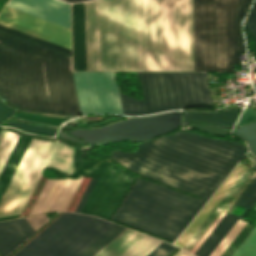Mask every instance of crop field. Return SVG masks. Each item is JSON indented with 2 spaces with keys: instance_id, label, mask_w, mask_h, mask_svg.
I'll return each mask as SVG.
<instances>
[{
  "instance_id": "f4fd0767",
  "label": "crop field",
  "mask_w": 256,
  "mask_h": 256,
  "mask_svg": "<svg viewBox=\"0 0 256 256\" xmlns=\"http://www.w3.org/2000/svg\"><path fill=\"white\" fill-rule=\"evenodd\" d=\"M204 203L138 178L112 219L175 241Z\"/></svg>"
},
{
  "instance_id": "d9b57169",
  "label": "crop field",
  "mask_w": 256,
  "mask_h": 256,
  "mask_svg": "<svg viewBox=\"0 0 256 256\" xmlns=\"http://www.w3.org/2000/svg\"><path fill=\"white\" fill-rule=\"evenodd\" d=\"M7 7L70 29V5L59 0H11Z\"/></svg>"
},
{
  "instance_id": "3316defc",
  "label": "crop field",
  "mask_w": 256,
  "mask_h": 256,
  "mask_svg": "<svg viewBox=\"0 0 256 256\" xmlns=\"http://www.w3.org/2000/svg\"><path fill=\"white\" fill-rule=\"evenodd\" d=\"M134 177L110 162L99 177L82 213L108 220Z\"/></svg>"
},
{
  "instance_id": "d8731c3e",
  "label": "crop field",
  "mask_w": 256,
  "mask_h": 256,
  "mask_svg": "<svg viewBox=\"0 0 256 256\" xmlns=\"http://www.w3.org/2000/svg\"><path fill=\"white\" fill-rule=\"evenodd\" d=\"M114 226L97 217L64 213L14 256H80Z\"/></svg>"
},
{
  "instance_id": "cbeb9de0",
  "label": "crop field",
  "mask_w": 256,
  "mask_h": 256,
  "mask_svg": "<svg viewBox=\"0 0 256 256\" xmlns=\"http://www.w3.org/2000/svg\"><path fill=\"white\" fill-rule=\"evenodd\" d=\"M80 180L81 178L47 179L29 216L49 211H65Z\"/></svg>"
},
{
  "instance_id": "22f410ed",
  "label": "crop field",
  "mask_w": 256,
  "mask_h": 256,
  "mask_svg": "<svg viewBox=\"0 0 256 256\" xmlns=\"http://www.w3.org/2000/svg\"><path fill=\"white\" fill-rule=\"evenodd\" d=\"M0 24L26 32L71 49L70 30L5 7Z\"/></svg>"
},
{
  "instance_id": "bc2a9ffb",
  "label": "crop field",
  "mask_w": 256,
  "mask_h": 256,
  "mask_svg": "<svg viewBox=\"0 0 256 256\" xmlns=\"http://www.w3.org/2000/svg\"><path fill=\"white\" fill-rule=\"evenodd\" d=\"M73 70L86 71L84 2L72 4Z\"/></svg>"
},
{
  "instance_id": "4177f3b9",
  "label": "crop field",
  "mask_w": 256,
  "mask_h": 256,
  "mask_svg": "<svg viewBox=\"0 0 256 256\" xmlns=\"http://www.w3.org/2000/svg\"><path fill=\"white\" fill-rule=\"evenodd\" d=\"M0 30L5 31V32H8V33H11V34H14V35H16V36H19V37H22V38L31 40V41H33V42H36V43L45 45V46H47V47H50V48H53V49H56V50H59V51H62V52H64V53H67V54H70V55H71V50H70V49H67V48H65V47H62V46L53 44V43H51V42H48V41L39 39V38H37V37L28 35V34H26V33H23V32L17 31V30H14V29H12V28H9V27L0 25Z\"/></svg>"
},
{
  "instance_id": "d1516ede",
  "label": "crop field",
  "mask_w": 256,
  "mask_h": 256,
  "mask_svg": "<svg viewBox=\"0 0 256 256\" xmlns=\"http://www.w3.org/2000/svg\"><path fill=\"white\" fill-rule=\"evenodd\" d=\"M175 71H194L192 0H173Z\"/></svg>"
},
{
  "instance_id": "ae1a2a85",
  "label": "crop field",
  "mask_w": 256,
  "mask_h": 256,
  "mask_svg": "<svg viewBox=\"0 0 256 256\" xmlns=\"http://www.w3.org/2000/svg\"><path fill=\"white\" fill-rule=\"evenodd\" d=\"M245 28L250 32V34L256 40V2L246 19Z\"/></svg>"
},
{
  "instance_id": "ac0d7876",
  "label": "crop field",
  "mask_w": 256,
  "mask_h": 256,
  "mask_svg": "<svg viewBox=\"0 0 256 256\" xmlns=\"http://www.w3.org/2000/svg\"><path fill=\"white\" fill-rule=\"evenodd\" d=\"M0 95L27 112L81 114L71 56L2 31Z\"/></svg>"
},
{
  "instance_id": "5142ce71",
  "label": "crop field",
  "mask_w": 256,
  "mask_h": 256,
  "mask_svg": "<svg viewBox=\"0 0 256 256\" xmlns=\"http://www.w3.org/2000/svg\"><path fill=\"white\" fill-rule=\"evenodd\" d=\"M255 202L256 177L241 194V196L237 199L234 205L230 208V210L226 213V215L222 218V220L218 223V225L215 227V229L211 232V234L207 237V239L203 242V244L194 255L209 256L210 253L219 244V242L223 239V237L227 234V232L236 223V221L238 219L242 220ZM236 205H241L246 208L240 217L231 214L232 210L235 208Z\"/></svg>"
},
{
  "instance_id": "5a996713",
  "label": "crop field",
  "mask_w": 256,
  "mask_h": 256,
  "mask_svg": "<svg viewBox=\"0 0 256 256\" xmlns=\"http://www.w3.org/2000/svg\"><path fill=\"white\" fill-rule=\"evenodd\" d=\"M82 113H121L114 72H73Z\"/></svg>"
},
{
  "instance_id": "1d83c4d3",
  "label": "crop field",
  "mask_w": 256,
  "mask_h": 256,
  "mask_svg": "<svg viewBox=\"0 0 256 256\" xmlns=\"http://www.w3.org/2000/svg\"><path fill=\"white\" fill-rule=\"evenodd\" d=\"M64 1H67V2H75V1H81V0H64Z\"/></svg>"
},
{
  "instance_id": "750c4746",
  "label": "crop field",
  "mask_w": 256,
  "mask_h": 256,
  "mask_svg": "<svg viewBox=\"0 0 256 256\" xmlns=\"http://www.w3.org/2000/svg\"><path fill=\"white\" fill-rule=\"evenodd\" d=\"M96 180H97V178H91V180H90V182H89V184H88V186H87V188H86V190H85V192H84V194H83L75 212H77V213L81 212V210H82V208H83V206H84V204H85V202H86V200H87V198H88Z\"/></svg>"
},
{
  "instance_id": "dd49c442",
  "label": "crop field",
  "mask_w": 256,
  "mask_h": 256,
  "mask_svg": "<svg viewBox=\"0 0 256 256\" xmlns=\"http://www.w3.org/2000/svg\"><path fill=\"white\" fill-rule=\"evenodd\" d=\"M100 71H144L142 0H98Z\"/></svg>"
},
{
  "instance_id": "eef30255",
  "label": "crop field",
  "mask_w": 256,
  "mask_h": 256,
  "mask_svg": "<svg viewBox=\"0 0 256 256\" xmlns=\"http://www.w3.org/2000/svg\"><path fill=\"white\" fill-rule=\"evenodd\" d=\"M253 227L254 225L247 223L222 256H231L245 237L249 234V232L253 229Z\"/></svg>"
},
{
  "instance_id": "28ad6ade",
  "label": "crop field",
  "mask_w": 256,
  "mask_h": 256,
  "mask_svg": "<svg viewBox=\"0 0 256 256\" xmlns=\"http://www.w3.org/2000/svg\"><path fill=\"white\" fill-rule=\"evenodd\" d=\"M145 71H165L163 0H143Z\"/></svg>"
},
{
  "instance_id": "bd1437ed",
  "label": "crop field",
  "mask_w": 256,
  "mask_h": 256,
  "mask_svg": "<svg viewBox=\"0 0 256 256\" xmlns=\"http://www.w3.org/2000/svg\"><path fill=\"white\" fill-rule=\"evenodd\" d=\"M180 251V250H179ZM178 251V252H179ZM174 256V255H173ZM175 256H192L191 254L181 250L179 253H177Z\"/></svg>"
},
{
  "instance_id": "92a150f3",
  "label": "crop field",
  "mask_w": 256,
  "mask_h": 256,
  "mask_svg": "<svg viewBox=\"0 0 256 256\" xmlns=\"http://www.w3.org/2000/svg\"><path fill=\"white\" fill-rule=\"evenodd\" d=\"M87 71H99L97 0L85 2Z\"/></svg>"
},
{
  "instance_id": "730fd06b",
  "label": "crop field",
  "mask_w": 256,
  "mask_h": 256,
  "mask_svg": "<svg viewBox=\"0 0 256 256\" xmlns=\"http://www.w3.org/2000/svg\"><path fill=\"white\" fill-rule=\"evenodd\" d=\"M232 256H256V227Z\"/></svg>"
},
{
  "instance_id": "8a807250",
  "label": "crop field",
  "mask_w": 256,
  "mask_h": 256,
  "mask_svg": "<svg viewBox=\"0 0 256 256\" xmlns=\"http://www.w3.org/2000/svg\"><path fill=\"white\" fill-rule=\"evenodd\" d=\"M245 151L238 142L181 131L141 143L136 153L114 151L110 159L207 201Z\"/></svg>"
},
{
  "instance_id": "4a817a6b",
  "label": "crop field",
  "mask_w": 256,
  "mask_h": 256,
  "mask_svg": "<svg viewBox=\"0 0 256 256\" xmlns=\"http://www.w3.org/2000/svg\"><path fill=\"white\" fill-rule=\"evenodd\" d=\"M245 168L246 167H244L242 164H238V166L233 170L225 182L220 186L216 193L211 197L203 209L198 213L194 220L177 239L174 245L180 248L183 247V245L187 242V240L191 237V235L195 232V230L199 227V225L203 222L211 210L216 206V204L220 201V199L224 196V194L228 191V189L232 186V184L236 181V179L240 176Z\"/></svg>"
},
{
  "instance_id": "34b2d1b8",
  "label": "crop field",
  "mask_w": 256,
  "mask_h": 256,
  "mask_svg": "<svg viewBox=\"0 0 256 256\" xmlns=\"http://www.w3.org/2000/svg\"><path fill=\"white\" fill-rule=\"evenodd\" d=\"M2 130L13 132L21 136L19 138V135L4 131H1L0 133V172L19 138L2 172L0 173V197L32 138L49 141L58 140L67 145L75 146L77 149L58 141L49 142L32 139L27 151L25 152L20 164L18 165L13 177L11 178L0 199V217L22 213L34 187L40 179L47 164L69 172L75 149L76 153L70 173L49 165H47L46 168L63 175L99 177V175L110 162L109 160L94 162L76 161L80 145L67 140L60 138L50 139L45 137L32 136L6 127H2ZM19 217L20 215L2 217L0 218V221L16 219Z\"/></svg>"
},
{
  "instance_id": "d3111659",
  "label": "crop field",
  "mask_w": 256,
  "mask_h": 256,
  "mask_svg": "<svg viewBox=\"0 0 256 256\" xmlns=\"http://www.w3.org/2000/svg\"><path fill=\"white\" fill-rule=\"evenodd\" d=\"M176 247L170 246L166 243H162L155 250H153L148 256H166Z\"/></svg>"
},
{
  "instance_id": "733c2abd",
  "label": "crop field",
  "mask_w": 256,
  "mask_h": 256,
  "mask_svg": "<svg viewBox=\"0 0 256 256\" xmlns=\"http://www.w3.org/2000/svg\"><path fill=\"white\" fill-rule=\"evenodd\" d=\"M143 234L126 228L95 256H119ZM162 241L144 235L120 256H146Z\"/></svg>"
},
{
  "instance_id": "e52e79f7",
  "label": "crop field",
  "mask_w": 256,
  "mask_h": 256,
  "mask_svg": "<svg viewBox=\"0 0 256 256\" xmlns=\"http://www.w3.org/2000/svg\"><path fill=\"white\" fill-rule=\"evenodd\" d=\"M137 74L143 100L120 93L124 114L143 115L192 105H212L206 73Z\"/></svg>"
},
{
  "instance_id": "a9b5d70f",
  "label": "crop field",
  "mask_w": 256,
  "mask_h": 256,
  "mask_svg": "<svg viewBox=\"0 0 256 256\" xmlns=\"http://www.w3.org/2000/svg\"><path fill=\"white\" fill-rule=\"evenodd\" d=\"M124 229L125 227L116 225L81 256H94L99 250H101L107 243H109Z\"/></svg>"
},
{
  "instance_id": "412701ff",
  "label": "crop field",
  "mask_w": 256,
  "mask_h": 256,
  "mask_svg": "<svg viewBox=\"0 0 256 256\" xmlns=\"http://www.w3.org/2000/svg\"><path fill=\"white\" fill-rule=\"evenodd\" d=\"M251 0H193L195 71H233L244 53L240 22Z\"/></svg>"
},
{
  "instance_id": "dafd665d",
  "label": "crop field",
  "mask_w": 256,
  "mask_h": 256,
  "mask_svg": "<svg viewBox=\"0 0 256 256\" xmlns=\"http://www.w3.org/2000/svg\"><path fill=\"white\" fill-rule=\"evenodd\" d=\"M166 70H174L172 0H164Z\"/></svg>"
},
{
  "instance_id": "214f88e0",
  "label": "crop field",
  "mask_w": 256,
  "mask_h": 256,
  "mask_svg": "<svg viewBox=\"0 0 256 256\" xmlns=\"http://www.w3.org/2000/svg\"><path fill=\"white\" fill-rule=\"evenodd\" d=\"M34 232L25 218L0 222V254L8 255Z\"/></svg>"
},
{
  "instance_id": "00972430",
  "label": "crop field",
  "mask_w": 256,
  "mask_h": 256,
  "mask_svg": "<svg viewBox=\"0 0 256 256\" xmlns=\"http://www.w3.org/2000/svg\"><path fill=\"white\" fill-rule=\"evenodd\" d=\"M245 224H246V222L238 220L237 223L228 232V234L224 237V239L220 242V244L216 247V249L211 253L210 256H221L222 253L229 246V244L233 241V239L237 236V234L245 226Z\"/></svg>"
}]
</instances>
